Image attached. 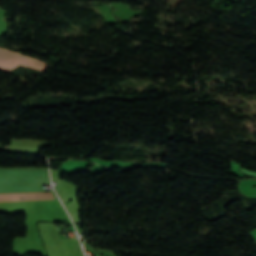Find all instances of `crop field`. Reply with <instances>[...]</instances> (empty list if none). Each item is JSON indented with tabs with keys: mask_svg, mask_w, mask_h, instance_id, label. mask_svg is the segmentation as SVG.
<instances>
[{
	"mask_svg": "<svg viewBox=\"0 0 256 256\" xmlns=\"http://www.w3.org/2000/svg\"><path fill=\"white\" fill-rule=\"evenodd\" d=\"M20 65L31 67L41 71H44V69L47 67V65L39 63L30 57L22 56L19 53L11 52L6 49H0L1 71L7 72Z\"/></svg>",
	"mask_w": 256,
	"mask_h": 256,
	"instance_id": "8a807250",
	"label": "crop field"
},
{
	"mask_svg": "<svg viewBox=\"0 0 256 256\" xmlns=\"http://www.w3.org/2000/svg\"><path fill=\"white\" fill-rule=\"evenodd\" d=\"M48 193H35V194H13V195H0V196H19V195H49ZM44 199H54L52 195L49 196H31V197H2L0 201H21V200H44Z\"/></svg>",
	"mask_w": 256,
	"mask_h": 256,
	"instance_id": "ac0d7876",
	"label": "crop field"
}]
</instances>
